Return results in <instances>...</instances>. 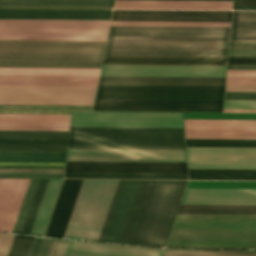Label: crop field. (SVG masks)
Returning a JSON list of instances; mask_svg holds the SVG:
<instances>
[{
  "label": "crop field",
  "instance_id": "43",
  "mask_svg": "<svg viewBox=\"0 0 256 256\" xmlns=\"http://www.w3.org/2000/svg\"><path fill=\"white\" fill-rule=\"evenodd\" d=\"M37 181L38 180H31L30 181L29 187L27 189V192H26V195H25L22 207L20 209V212H19L16 224L14 226V229H13L12 233H18V234L20 233V230H21L23 221L25 219V216H26V213H27V210H28V207H29L32 195L34 193V190H35V187H36V184H37Z\"/></svg>",
  "mask_w": 256,
  "mask_h": 256
},
{
  "label": "crop field",
  "instance_id": "45",
  "mask_svg": "<svg viewBox=\"0 0 256 256\" xmlns=\"http://www.w3.org/2000/svg\"><path fill=\"white\" fill-rule=\"evenodd\" d=\"M69 127H11L0 126V130L10 131H68Z\"/></svg>",
  "mask_w": 256,
  "mask_h": 256
},
{
  "label": "crop field",
  "instance_id": "33",
  "mask_svg": "<svg viewBox=\"0 0 256 256\" xmlns=\"http://www.w3.org/2000/svg\"><path fill=\"white\" fill-rule=\"evenodd\" d=\"M186 139L256 140V131L185 130Z\"/></svg>",
  "mask_w": 256,
  "mask_h": 256
},
{
  "label": "crop field",
  "instance_id": "34",
  "mask_svg": "<svg viewBox=\"0 0 256 256\" xmlns=\"http://www.w3.org/2000/svg\"><path fill=\"white\" fill-rule=\"evenodd\" d=\"M114 1L0 0V5L112 7Z\"/></svg>",
  "mask_w": 256,
  "mask_h": 256
},
{
  "label": "crop field",
  "instance_id": "35",
  "mask_svg": "<svg viewBox=\"0 0 256 256\" xmlns=\"http://www.w3.org/2000/svg\"><path fill=\"white\" fill-rule=\"evenodd\" d=\"M178 214L256 215V207L181 206Z\"/></svg>",
  "mask_w": 256,
  "mask_h": 256
},
{
  "label": "crop field",
  "instance_id": "56",
  "mask_svg": "<svg viewBox=\"0 0 256 256\" xmlns=\"http://www.w3.org/2000/svg\"><path fill=\"white\" fill-rule=\"evenodd\" d=\"M66 256H114V255H106V254H97V253H89V252H80V251H72L68 250Z\"/></svg>",
  "mask_w": 256,
  "mask_h": 256
},
{
  "label": "crop field",
  "instance_id": "19",
  "mask_svg": "<svg viewBox=\"0 0 256 256\" xmlns=\"http://www.w3.org/2000/svg\"><path fill=\"white\" fill-rule=\"evenodd\" d=\"M112 11L0 9V19L110 20Z\"/></svg>",
  "mask_w": 256,
  "mask_h": 256
},
{
  "label": "crop field",
  "instance_id": "25",
  "mask_svg": "<svg viewBox=\"0 0 256 256\" xmlns=\"http://www.w3.org/2000/svg\"><path fill=\"white\" fill-rule=\"evenodd\" d=\"M225 79L101 77L99 84L224 86Z\"/></svg>",
  "mask_w": 256,
  "mask_h": 256
},
{
  "label": "crop field",
  "instance_id": "47",
  "mask_svg": "<svg viewBox=\"0 0 256 256\" xmlns=\"http://www.w3.org/2000/svg\"><path fill=\"white\" fill-rule=\"evenodd\" d=\"M64 169H4L0 168L3 173H63Z\"/></svg>",
  "mask_w": 256,
  "mask_h": 256
},
{
  "label": "crop field",
  "instance_id": "37",
  "mask_svg": "<svg viewBox=\"0 0 256 256\" xmlns=\"http://www.w3.org/2000/svg\"><path fill=\"white\" fill-rule=\"evenodd\" d=\"M68 242L35 238L28 256H63Z\"/></svg>",
  "mask_w": 256,
  "mask_h": 256
},
{
  "label": "crop field",
  "instance_id": "48",
  "mask_svg": "<svg viewBox=\"0 0 256 256\" xmlns=\"http://www.w3.org/2000/svg\"><path fill=\"white\" fill-rule=\"evenodd\" d=\"M0 177L12 178H63V174H3Z\"/></svg>",
  "mask_w": 256,
  "mask_h": 256
},
{
  "label": "crop field",
  "instance_id": "60",
  "mask_svg": "<svg viewBox=\"0 0 256 256\" xmlns=\"http://www.w3.org/2000/svg\"><path fill=\"white\" fill-rule=\"evenodd\" d=\"M223 112H250V113H256V110H224Z\"/></svg>",
  "mask_w": 256,
  "mask_h": 256
},
{
  "label": "crop field",
  "instance_id": "7",
  "mask_svg": "<svg viewBox=\"0 0 256 256\" xmlns=\"http://www.w3.org/2000/svg\"><path fill=\"white\" fill-rule=\"evenodd\" d=\"M224 87L99 85L96 100L222 101Z\"/></svg>",
  "mask_w": 256,
  "mask_h": 256
},
{
  "label": "crop field",
  "instance_id": "50",
  "mask_svg": "<svg viewBox=\"0 0 256 256\" xmlns=\"http://www.w3.org/2000/svg\"><path fill=\"white\" fill-rule=\"evenodd\" d=\"M224 100H256V93H225Z\"/></svg>",
  "mask_w": 256,
  "mask_h": 256
},
{
  "label": "crop field",
  "instance_id": "14",
  "mask_svg": "<svg viewBox=\"0 0 256 256\" xmlns=\"http://www.w3.org/2000/svg\"><path fill=\"white\" fill-rule=\"evenodd\" d=\"M188 164L256 165V149L187 148Z\"/></svg>",
  "mask_w": 256,
  "mask_h": 256
},
{
  "label": "crop field",
  "instance_id": "22",
  "mask_svg": "<svg viewBox=\"0 0 256 256\" xmlns=\"http://www.w3.org/2000/svg\"><path fill=\"white\" fill-rule=\"evenodd\" d=\"M227 58L105 57L103 65L226 66Z\"/></svg>",
  "mask_w": 256,
  "mask_h": 256
},
{
  "label": "crop field",
  "instance_id": "42",
  "mask_svg": "<svg viewBox=\"0 0 256 256\" xmlns=\"http://www.w3.org/2000/svg\"><path fill=\"white\" fill-rule=\"evenodd\" d=\"M163 256H256V252H223V251H168Z\"/></svg>",
  "mask_w": 256,
  "mask_h": 256
},
{
  "label": "crop field",
  "instance_id": "17",
  "mask_svg": "<svg viewBox=\"0 0 256 256\" xmlns=\"http://www.w3.org/2000/svg\"><path fill=\"white\" fill-rule=\"evenodd\" d=\"M231 12L114 11L112 18L230 19ZM112 19V21L230 22V20Z\"/></svg>",
  "mask_w": 256,
  "mask_h": 256
},
{
  "label": "crop field",
  "instance_id": "11",
  "mask_svg": "<svg viewBox=\"0 0 256 256\" xmlns=\"http://www.w3.org/2000/svg\"><path fill=\"white\" fill-rule=\"evenodd\" d=\"M65 173L187 174L186 164L67 162Z\"/></svg>",
  "mask_w": 256,
  "mask_h": 256
},
{
  "label": "crop field",
  "instance_id": "1",
  "mask_svg": "<svg viewBox=\"0 0 256 256\" xmlns=\"http://www.w3.org/2000/svg\"><path fill=\"white\" fill-rule=\"evenodd\" d=\"M123 181H119L102 242ZM151 181H124L103 242L129 244ZM168 181H152L130 244L146 246ZM187 181H169L147 246L164 247Z\"/></svg>",
  "mask_w": 256,
  "mask_h": 256
},
{
  "label": "crop field",
  "instance_id": "51",
  "mask_svg": "<svg viewBox=\"0 0 256 256\" xmlns=\"http://www.w3.org/2000/svg\"><path fill=\"white\" fill-rule=\"evenodd\" d=\"M226 85H256V78H227Z\"/></svg>",
  "mask_w": 256,
  "mask_h": 256
},
{
  "label": "crop field",
  "instance_id": "54",
  "mask_svg": "<svg viewBox=\"0 0 256 256\" xmlns=\"http://www.w3.org/2000/svg\"><path fill=\"white\" fill-rule=\"evenodd\" d=\"M228 64H256V58H229Z\"/></svg>",
  "mask_w": 256,
  "mask_h": 256
},
{
  "label": "crop field",
  "instance_id": "44",
  "mask_svg": "<svg viewBox=\"0 0 256 256\" xmlns=\"http://www.w3.org/2000/svg\"><path fill=\"white\" fill-rule=\"evenodd\" d=\"M15 237V236H14ZM34 238L16 236L8 256H27Z\"/></svg>",
  "mask_w": 256,
  "mask_h": 256
},
{
  "label": "crop field",
  "instance_id": "28",
  "mask_svg": "<svg viewBox=\"0 0 256 256\" xmlns=\"http://www.w3.org/2000/svg\"><path fill=\"white\" fill-rule=\"evenodd\" d=\"M62 180H49L30 235L43 236Z\"/></svg>",
  "mask_w": 256,
  "mask_h": 256
},
{
  "label": "crop field",
  "instance_id": "36",
  "mask_svg": "<svg viewBox=\"0 0 256 256\" xmlns=\"http://www.w3.org/2000/svg\"><path fill=\"white\" fill-rule=\"evenodd\" d=\"M66 153H7L0 152L6 162H65Z\"/></svg>",
  "mask_w": 256,
  "mask_h": 256
},
{
  "label": "crop field",
  "instance_id": "5",
  "mask_svg": "<svg viewBox=\"0 0 256 256\" xmlns=\"http://www.w3.org/2000/svg\"><path fill=\"white\" fill-rule=\"evenodd\" d=\"M68 148L185 150L183 129L71 128Z\"/></svg>",
  "mask_w": 256,
  "mask_h": 256
},
{
  "label": "crop field",
  "instance_id": "39",
  "mask_svg": "<svg viewBox=\"0 0 256 256\" xmlns=\"http://www.w3.org/2000/svg\"><path fill=\"white\" fill-rule=\"evenodd\" d=\"M48 180H39L20 234L29 235Z\"/></svg>",
  "mask_w": 256,
  "mask_h": 256
},
{
  "label": "crop field",
  "instance_id": "29",
  "mask_svg": "<svg viewBox=\"0 0 256 256\" xmlns=\"http://www.w3.org/2000/svg\"><path fill=\"white\" fill-rule=\"evenodd\" d=\"M230 42H256V12H233Z\"/></svg>",
  "mask_w": 256,
  "mask_h": 256
},
{
  "label": "crop field",
  "instance_id": "61",
  "mask_svg": "<svg viewBox=\"0 0 256 256\" xmlns=\"http://www.w3.org/2000/svg\"><path fill=\"white\" fill-rule=\"evenodd\" d=\"M174 1H232V0H174Z\"/></svg>",
  "mask_w": 256,
  "mask_h": 256
},
{
  "label": "crop field",
  "instance_id": "26",
  "mask_svg": "<svg viewBox=\"0 0 256 256\" xmlns=\"http://www.w3.org/2000/svg\"><path fill=\"white\" fill-rule=\"evenodd\" d=\"M0 78L98 79L99 77L0 76ZM36 79H0V85L2 86L97 87V83H98V80H36Z\"/></svg>",
  "mask_w": 256,
  "mask_h": 256
},
{
  "label": "crop field",
  "instance_id": "57",
  "mask_svg": "<svg viewBox=\"0 0 256 256\" xmlns=\"http://www.w3.org/2000/svg\"><path fill=\"white\" fill-rule=\"evenodd\" d=\"M227 70H256V65H228Z\"/></svg>",
  "mask_w": 256,
  "mask_h": 256
},
{
  "label": "crop field",
  "instance_id": "38",
  "mask_svg": "<svg viewBox=\"0 0 256 256\" xmlns=\"http://www.w3.org/2000/svg\"><path fill=\"white\" fill-rule=\"evenodd\" d=\"M65 178L187 180V175L65 174Z\"/></svg>",
  "mask_w": 256,
  "mask_h": 256
},
{
  "label": "crop field",
  "instance_id": "21",
  "mask_svg": "<svg viewBox=\"0 0 256 256\" xmlns=\"http://www.w3.org/2000/svg\"><path fill=\"white\" fill-rule=\"evenodd\" d=\"M110 21L0 20V29L108 30Z\"/></svg>",
  "mask_w": 256,
  "mask_h": 256
},
{
  "label": "crop field",
  "instance_id": "20",
  "mask_svg": "<svg viewBox=\"0 0 256 256\" xmlns=\"http://www.w3.org/2000/svg\"><path fill=\"white\" fill-rule=\"evenodd\" d=\"M83 180H64L46 237L62 238Z\"/></svg>",
  "mask_w": 256,
  "mask_h": 256
},
{
  "label": "crop field",
  "instance_id": "15",
  "mask_svg": "<svg viewBox=\"0 0 256 256\" xmlns=\"http://www.w3.org/2000/svg\"><path fill=\"white\" fill-rule=\"evenodd\" d=\"M184 194L256 195V190L186 189ZM181 205L256 206V196L184 195Z\"/></svg>",
  "mask_w": 256,
  "mask_h": 256
},
{
  "label": "crop field",
  "instance_id": "55",
  "mask_svg": "<svg viewBox=\"0 0 256 256\" xmlns=\"http://www.w3.org/2000/svg\"><path fill=\"white\" fill-rule=\"evenodd\" d=\"M229 49H256V43H230Z\"/></svg>",
  "mask_w": 256,
  "mask_h": 256
},
{
  "label": "crop field",
  "instance_id": "52",
  "mask_svg": "<svg viewBox=\"0 0 256 256\" xmlns=\"http://www.w3.org/2000/svg\"><path fill=\"white\" fill-rule=\"evenodd\" d=\"M234 3H256V0H234ZM233 10H256V4H234Z\"/></svg>",
  "mask_w": 256,
  "mask_h": 256
},
{
  "label": "crop field",
  "instance_id": "4",
  "mask_svg": "<svg viewBox=\"0 0 256 256\" xmlns=\"http://www.w3.org/2000/svg\"><path fill=\"white\" fill-rule=\"evenodd\" d=\"M105 44L0 41V67L100 69Z\"/></svg>",
  "mask_w": 256,
  "mask_h": 256
},
{
  "label": "crop field",
  "instance_id": "46",
  "mask_svg": "<svg viewBox=\"0 0 256 256\" xmlns=\"http://www.w3.org/2000/svg\"><path fill=\"white\" fill-rule=\"evenodd\" d=\"M224 109H256V101H224Z\"/></svg>",
  "mask_w": 256,
  "mask_h": 256
},
{
  "label": "crop field",
  "instance_id": "13",
  "mask_svg": "<svg viewBox=\"0 0 256 256\" xmlns=\"http://www.w3.org/2000/svg\"><path fill=\"white\" fill-rule=\"evenodd\" d=\"M68 132H10L0 131V138L9 139H67ZM0 145L67 146V140H8L0 139ZM0 146L7 152H66L67 147Z\"/></svg>",
  "mask_w": 256,
  "mask_h": 256
},
{
  "label": "crop field",
  "instance_id": "62",
  "mask_svg": "<svg viewBox=\"0 0 256 256\" xmlns=\"http://www.w3.org/2000/svg\"><path fill=\"white\" fill-rule=\"evenodd\" d=\"M227 73H256V71H227Z\"/></svg>",
  "mask_w": 256,
  "mask_h": 256
},
{
  "label": "crop field",
  "instance_id": "40",
  "mask_svg": "<svg viewBox=\"0 0 256 256\" xmlns=\"http://www.w3.org/2000/svg\"><path fill=\"white\" fill-rule=\"evenodd\" d=\"M187 147L256 148V141L186 140Z\"/></svg>",
  "mask_w": 256,
  "mask_h": 256
},
{
  "label": "crop field",
  "instance_id": "59",
  "mask_svg": "<svg viewBox=\"0 0 256 256\" xmlns=\"http://www.w3.org/2000/svg\"><path fill=\"white\" fill-rule=\"evenodd\" d=\"M227 77H256V74H227Z\"/></svg>",
  "mask_w": 256,
  "mask_h": 256
},
{
  "label": "crop field",
  "instance_id": "8",
  "mask_svg": "<svg viewBox=\"0 0 256 256\" xmlns=\"http://www.w3.org/2000/svg\"><path fill=\"white\" fill-rule=\"evenodd\" d=\"M71 127L183 128L182 114L72 113Z\"/></svg>",
  "mask_w": 256,
  "mask_h": 256
},
{
  "label": "crop field",
  "instance_id": "27",
  "mask_svg": "<svg viewBox=\"0 0 256 256\" xmlns=\"http://www.w3.org/2000/svg\"><path fill=\"white\" fill-rule=\"evenodd\" d=\"M68 249L123 256H161V250L71 242Z\"/></svg>",
  "mask_w": 256,
  "mask_h": 256
},
{
  "label": "crop field",
  "instance_id": "49",
  "mask_svg": "<svg viewBox=\"0 0 256 256\" xmlns=\"http://www.w3.org/2000/svg\"><path fill=\"white\" fill-rule=\"evenodd\" d=\"M13 239H14L13 235L0 233V256H7V253L10 249Z\"/></svg>",
  "mask_w": 256,
  "mask_h": 256
},
{
  "label": "crop field",
  "instance_id": "6",
  "mask_svg": "<svg viewBox=\"0 0 256 256\" xmlns=\"http://www.w3.org/2000/svg\"><path fill=\"white\" fill-rule=\"evenodd\" d=\"M117 182L83 181L63 238L98 240Z\"/></svg>",
  "mask_w": 256,
  "mask_h": 256
},
{
  "label": "crop field",
  "instance_id": "58",
  "mask_svg": "<svg viewBox=\"0 0 256 256\" xmlns=\"http://www.w3.org/2000/svg\"><path fill=\"white\" fill-rule=\"evenodd\" d=\"M0 7H24V6H0ZM25 8H83V7H25ZM83 9H112V8H83Z\"/></svg>",
  "mask_w": 256,
  "mask_h": 256
},
{
  "label": "crop field",
  "instance_id": "3",
  "mask_svg": "<svg viewBox=\"0 0 256 256\" xmlns=\"http://www.w3.org/2000/svg\"><path fill=\"white\" fill-rule=\"evenodd\" d=\"M166 247L256 249V216L178 215Z\"/></svg>",
  "mask_w": 256,
  "mask_h": 256
},
{
  "label": "crop field",
  "instance_id": "31",
  "mask_svg": "<svg viewBox=\"0 0 256 256\" xmlns=\"http://www.w3.org/2000/svg\"><path fill=\"white\" fill-rule=\"evenodd\" d=\"M185 129L256 130V121L184 120Z\"/></svg>",
  "mask_w": 256,
  "mask_h": 256
},
{
  "label": "crop field",
  "instance_id": "41",
  "mask_svg": "<svg viewBox=\"0 0 256 256\" xmlns=\"http://www.w3.org/2000/svg\"><path fill=\"white\" fill-rule=\"evenodd\" d=\"M111 26L230 27V23L112 22Z\"/></svg>",
  "mask_w": 256,
  "mask_h": 256
},
{
  "label": "crop field",
  "instance_id": "32",
  "mask_svg": "<svg viewBox=\"0 0 256 256\" xmlns=\"http://www.w3.org/2000/svg\"><path fill=\"white\" fill-rule=\"evenodd\" d=\"M99 73H100V70L7 69V68H0V75L99 76Z\"/></svg>",
  "mask_w": 256,
  "mask_h": 256
},
{
  "label": "crop field",
  "instance_id": "9",
  "mask_svg": "<svg viewBox=\"0 0 256 256\" xmlns=\"http://www.w3.org/2000/svg\"><path fill=\"white\" fill-rule=\"evenodd\" d=\"M67 161L186 163L185 151L68 149Z\"/></svg>",
  "mask_w": 256,
  "mask_h": 256
},
{
  "label": "crop field",
  "instance_id": "30",
  "mask_svg": "<svg viewBox=\"0 0 256 256\" xmlns=\"http://www.w3.org/2000/svg\"><path fill=\"white\" fill-rule=\"evenodd\" d=\"M0 116L15 117H70V115H25L0 114ZM70 118H14L0 117V125L12 126H69Z\"/></svg>",
  "mask_w": 256,
  "mask_h": 256
},
{
  "label": "crop field",
  "instance_id": "18",
  "mask_svg": "<svg viewBox=\"0 0 256 256\" xmlns=\"http://www.w3.org/2000/svg\"><path fill=\"white\" fill-rule=\"evenodd\" d=\"M8 180H0V200ZM30 180H9L0 202V232H12Z\"/></svg>",
  "mask_w": 256,
  "mask_h": 256
},
{
  "label": "crop field",
  "instance_id": "10",
  "mask_svg": "<svg viewBox=\"0 0 256 256\" xmlns=\"http://www.w3.org/2000/svg\"><path fill=\"white\" fill-rule=\"evenodd\" d=\"M226 67L103 66L101 76L225 78Z\"/></svg>",
  "mask_w": 256,
  "mask_h": 256
},
{
  "label": "crop field",
  "instance_id": "53",
  "mask_svg": "<svg viewBox=\"0 0 256 256\" xmlns=\"http://www.w3.org/2000/svg\"><path fill=\"white\" fill-rule=\"evenodd\" d=\"M225 92H256V86H226Z\"/></svg>",
  "mask_w": 256,
  "mask_h": 256
},
{
  "label": "crop field",
  "instance_id": "2",
  "mask_svg": "<svg viewBox=\"0 0 256 256\" xmlns=\"http://www.w3.org/2000/svg\"><path fill=\"white\" fill-rule=\"evenodd\" d=\"M230 28L111 27L105 56L227 57Z\"/></svg>",
  "mask_w": 256,
  "mask_h": 256
},
{
  "label": "crop field",
  "instance_id": "16",
  "mask_svg": "<svg viewBox=\"0 0 256 256\" xmlns=\"http://www.w3.org/2000/svg\"><path fill=\"white\" fill-rule=\"evenodd\" d=\"M108 31L0 30V40L106 41Z\"/></svg>",
  "mask_w": 256,
  "mask_h": 256
},
{
  "label": "crop field",
  "instance_id": "12",
  "mask_svg": "<svg viewBox=\"0 0 256 256\" xmlns=\"http://www.w3.org/2000/svg\"><path fill=\"white\" fill-rule=\"evenodd\" d=\"M222 102L96 101L94 111L221 112Z\"/></svg>",
  "mask_w": 256,
  "mask_h": 256
},
{
  "label": "crop field",
  "instance_id": "24",
  "mask_svg": "<svg viewBox=\"0 0 256 256\" xmlns=\"http://www.w3.org/2000/svg\"><path fill=\"white\" fill-rule=\"evenodd\" d=\"M232 2L116 1L114 9L231 10Z\"/></svg>",
  "mask_w": 256,
  "mask_h": 256
},
{
  "label": "crop field",
  "instance_id": "23",
  "mask_svg": "<svg viewBox=\"0 0 256 256\" xmlns=\"http://www.w3.org/2000/svg\"><path fill=\"white\" fill-rule=\"evenodd\" d=\"M188 169L256 170V166L188 165ZM189 180L256 181V171L188 170Z\"/></svg>",
  "mask_w": 256,
  "mask_h": 256
}]
</instances>
